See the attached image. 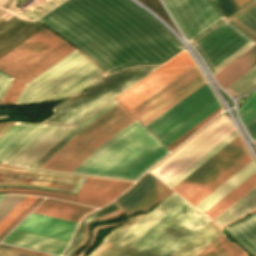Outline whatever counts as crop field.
I'll use <instances>...</instances> for the list:
<instances>
[{
    "label": "crop field",
    "mask_w": 256,
    "mask_h": 256,
    "mask_svg": "<svg viewBox=\"0 0 256 256\" xmlns=\"http://www.w3.org/2000/svg\"><path fill=\"white\" fill-rule=\"evenodd\" d=\"M38 22L82 50L107 74L162 63L183 49L160 23L129 0H67Z\"/></svg>",
    "instance_id": "crop-field-1"
},
{
    "label": "crop field",
    "mask_w": 256,
    "mask_h": 256,
    "mask_svg": "<svg viewBox=\"0 0 256 256\" xmlns=\"http://www.w3.org/2000/svg\"><path fill=\"white\" fill-rule=\"evenodd\" d=\"M168 153L136 120L103 143L73 173L135 181Z\"/></svg>",
    "instance_id": "crop-field-2"
},
{
    "label": "crop field",
    "mask_w": 256,
    "mask_h": 256,
    "mask_svg": "<svg viewBox=\"0 0 256 256\" xmlns=\"http://www.w3.org/2000/svg\"><path fill=\"white\" fill-rule=\"evenodd\" d=\"M94 67L75 50L27 83L14 104H34L49 100ZM103 76L105 74L96 67L52 99L77 94Z\"/></svg>",
    "instance_id": "crop-field-3"
},
{
    "label": "crop field",
    "mask_w": 256,
    "mask_h": 256,
    "mask_svg": "<svg viewBox=\"0 0 256 256\" xmlns=\"http://www.w3.org/2000/svg\"><path fill=\"white\" fill-rule=\"evenodd\" d=\"M136 120L120 103L80 130L39 168L70 173L103 142Z\"/></svg>",
    "instance_id": "crop-field-4"
},
{
    "label": "crop field",
    "mask_w": 256,
    "mask_h": 256,
    "mask_svg": "<svg viewBox=\"0 0 256 256\" xmlns=\"http://www.w3.org/2000/svg\"><path fill=\"white\" fill-rule=\"evenodd\" d=\"M158 67L139 66L115 73L86 92L53 107V112L61 109L42 123L75 125Z\"/></svg>",
    "instance_id": "crop-field-5"
},
{
    "label": "crop field",
    "mask_w": 256,
    "mask_h": 256,
    "mask_svg": "<svg viewBox=\"0 0 256 256\" xmlns=\"http://www.w3.org/2000/svg\"><path fill=\"white\" fill-rule=\"evenodd\" d=\"M251 160L238 136L172 189L195 206Z\"/></svg>",
    "instance_id": "crop-field-6"
},
{
    "label": "crop field",
    "mask_w": 256,
    "mask_h": 256,
    "mask_svg": "<svg viewBox=\"0 0 256 256\" xmlns=\"http://www.w3.org/2000/svg\"><path fill=\"white\" fill-rule=\"evenodd\" d=\"M234 130L229 120L217 117L150 172L167 184Z\"/></svg>",
    "instance_id": "crop-field-7"
},
{
    "label": "crop field",
    "mask_w": 256,
    "mask_h": 256,
    "mask_svg": "<svg viewBox=\"0 0 256 256\" xmlns=\"http://www.w3.org/2000/svg\"><path fill=\"white\" fill-rule=\"evenodd\" d=\"M254 43L236 25L226 20L193 45L214 76Z\"/></svg>",
    "instance_id": "crop-field-8"
},
{
    "label": "crop field",
    "mask_w": 256,
    "mask_h": 256,
    "mask_svg": "<svg viewBox=\"0 0 256 256\" xmlns=\"http://www.w3.org/2000/svg\"><path fill=\"white\" fill-rule=\"evenodd\" d=\"M204 83L195 65L129 112L145 126Z\"/></svg>",
    "instance_id": "crop-field-9"
},
{
    "label": "crop field",
    "mask_w": 256,
    "mask_h": 256,
    "mask_svg": "<svg viewBox=\"0 0 256 256\" xmlns=\"http://www.w3.org/2000/svg\"><path fill=\"white\" fill-rule=\"evenodd\" d=\"M85 177L0 164V186H24L77 194Z\"/></svg>",
    "instance_id": "crop-field-10"
},
{
    "label": "crop field",
    "mask_w": 256,
    "mask_h": 256,
    "mask_svg": "<svg viewBox=\"0 0 256 256\" xmlns=\"http://www.w3.org/2000/svg\"><path fill=\"white\" fill-rule=\"evenodd\" d=\"M190 42L223 18L210 0H162Z\"/></svg>",
    "instance_id": "crop-field-11"
},
{
    "label": "crop field",
    "mask_w": 256,
    "mask_h": 256,
    "mask_svg": "<svg viewBox=\"0 0 256 256\" xmlns=\"http://www.w3.org/2000/svg\"><path fill=\"white\" fill-rule=\"evenodd\" d=\"M193 65H195L194 62L186 52L182 51L167 64L116 99L129 111Z\"/></svg>",
    "instance_id": "crop-field-12"
},
{
    "label": "crop field",
    "mask_w": 256,
    "mask_h": 256,
    "mask_svg": "<svg viewBox=\"0 0 256 256\" xmlns=\"http://www.w3.org/2000/svg\"><path fill=\"white\" fill-rule=\"evenodd\" d=\"M61 44V40L43 29L0 58V69L16 76Z\"/></svg>",
    "instance_id": "crop-field-13"
},
{
    "label": "crop field",
    "mask_w": 256,
    "mask_h": 256,
    "mask_svg": "<svg viewBox=\"0 0 256 256\" xmlns=\"http://www.w3.org/2000/svg\"><path fill=\"white\" fill-rule=\"evenodd\" d=\"M197 212L183 200L121 256H148Z\"/></svg>",
    "instance_id": "crop-field-14"
},
{
    "label": "crop field",
    "mask_w": 256,
    "mask_h": 256,
    "mask_svg": "<svg viewBox=\"0 0 256 256\" xmlns=\"http://www.w3.org/2000/svg\"><path fill=\"white\" fill-rule=\"evenodd\" d=\"M213 95L206 84L145 127L159 139L216 100Z\"/></svg>",
    "instance_id": "crop-field-15"
},
{
    "label": "crop field",
    "mask_w": 256,
    "mask_h": 256,
    "mask_svg": "<svg viewBox=\"0 0 256 256\" xmlns=\"http://www.w3.org/2000/svg\"><path fill=\"white\" fill-rule=\"evenodd\" d=\"M182 200L183 199L174 192L169 194L155 209L140 219L100 256H119L122 254L128 247H130Z\"/></svg>",
    "instance_id": "crop-field-16"
},
{
    "label": "crop field",
    "mask_w": 256,
    "mask_h": 256,
    "mask_svg": "<svg viewBox=\"0 0 256 256\" xmlns=\"http://www.w3.org/2000/svg\"><path fill=\"white\" fill-rule=\"evenodd\" d=\"M132 183L87 176L75 201L100 207L112 201Z\"/></svg>",
    "instance_id": "crop-field-17"
},
{
    "label": "crop field",
    "mask_w": 256,
    "mask_h": 256,
    "mask_svg": "<svg viewBox=\"0 0 256 256\" xmlns=\"http://www.w3.org/2000/svg\"><path fill=\"white\" fill-rule=\"evenodd\" d=\"M71 128L47 125L6 163L29 167Z\"/></svg>",
    "instance_id": "crop-field-18"
},
{
    "label": "crop field",
    "mask_w": 256,
    "mask_h": 256,
    "mask_svg": "<svg viewBox=\"0 0 256 256\" xmlns=\"http://www.w3.org/2000/svg\"><path fill=\"white\" fill-rule=\"evenodd\" d=\"M76 225V222L31 213L15 229L69 242Z\"/></svg>",
    "instance_id": "crop-field-19"
},
{
    "label": "crop field",
    "mask_w": 256,
    "mask_h": 256,
    "mask_svg": "<svg viewBox=\"0 0 256 256\" xmlns=\"http://www.w3.org/2000/svg\"><path fill=\"white\" fill-rule=\"evenodd\" d=\"M73 50L75 49L64 44L49 54L47 57L39 61L37 64L29 68L27 71L19 75L17 78H15L6 94L2 98L0 105L13 104L27 82L45 71L47 68L55 64L57 61L68 55Z\"/></svg>",
    "instance_id": "crop-field-20"
},
{
    "label": "crop field",
    "mask_w": 256,
    "mask_h": 256,
    "mask_svg": "<svg viewBox=\"0 0 256 256\" xmlns=\"http://www.w3.org/2000/svg\"><path fill=\"white\" fill-rule=\"evenodd\" d=\"M45 126L16 122L0 137V162L5 163Z\"/></svg>",
    "instance_id": "crop-field-21"
},
{
    "label": "crop field",
    "mask_w": 256,
    "mask_h": 256,
    "mask_svg": "<svg viewBox=\"0 0 256 256\" xmlns=\"http://www.w3.org/2000/svg\"><path fill=\"white\" fill-rule=\"evenodd\" d=\"M209 221L198 212L149 256H171Z\"/></svg>",
    "instance_id": "crop-field-22"
},
{
    "label": "crop field",
    "mask_w": 256,
    "mask_h": 256,
    "mask_svg": "<svg viewBox=\"0 0 256 256\" xmlns=\"http://www.w3.org/2000/svg\"><path fill=\"white\" fill-rule=\"evenodd\" d=\"M1 242L60 255L67 242L13 230Z\"/></svg>",
    "instance_id": "crop-field-23"
},
{
    "label": "crop field",
    "mask_w": 256,
    "mask_h": 256,
    "mask_svg": "<svg viewBox=\"0 0 256 256\" xmlns=\"http://www.w3.org/2000/svg\"><path fill=\"white\" fill-rule=\"evenodd\" d=\"M92 210L94 208L70 202L45 199L33 212L79 222L83 215Z\"/></svg>",
    "instance_id": "crop-field-24"
},
{
    "label": "crop field",
    "mask_w": 256,
    "mask_h": 256,
    "mask_svg": "<svg viewBox=\"0 0 256 256\" xmlns=\"http://www.w3.org/2000/svg\"><path fill=\"white\" fill-rule=\"evenodd\" d=\"M225 229L252 256H256V210Z\"/></svg>",
    "instance_id": "crop-field-25"
},
{
    "label": "crop field",
    "mask_w": 256,
    "mask_h": 256,
    "mask_svg": "<svg viewBox=\"0 0 256 256\" xmlns=\"http://www.w3.org/2000/svg\"><path fill=\"white\" fill-rule=\"evenodd\" d=\"M256 64V43L214 77L225 89Z\"/></svg>",
    "instance_id": "crop-field-26"
},
{
    "label": "crop field",
    "mask_w": 256,
    "mask_h": 256,
    "mask_svg": "<svg viewBox=\"0 0 256 256\" xmlns=\"http://www.w3.org/2000/svg\"><path fill=\"white\" fill-rule=\"evenodd\" d=\"M255 171L256 165L252 160L195 207L204 213Z\"/></svg>",
    "instance_id": "crop-field-27"
},
{
    "label": "crop field",
    "mask_w": 256,
    "mask_h": 256,
    "mask_svg": "<svg viewBox=\"0 0 256 256\" xmlns=\"http://www.w3.org/2000/svg\"><path fill=\"white\" fill-rule=\"evenodd\" d=\"M219 232L220 228L210 221L172 256H197L219 236Z\"/></svg>",
    "instance_id": "crop-field-28"
},
{
    "label": "crop field",
    "mask_w": 256,
    "mask_h": 256,
    "mask_svg": "<svg viewBox=\"0 0 256 256\" xmlns=\"http://www.w3.org/2000/svg\"><path fill=\"white\" fill-rule=\"evenodd\" d=\"M255 186L256 173H254L251 177H249L246 181H244L241 185H239L236 189L230 192L227 196H225L222 200H220L204 214L213 220Z\"/></svg>",
    "instance_id": "crop-field-29"
},
{
    "label": "crop field",
    "mask_w": 256,
    "mask_h": 256,
    "mask_svg": "<svg viewBox=\"0 0 256 256\" xmlns=\"http://www.w3.org/2000/svg\"><path fill=\"white\" fill-rule=\"evenodd\" d=\"M159 182L160 181H158L156 178H154L152 175L148 173L129 192L123 195L116 202L126 212Z\"/></svg>",
    "instance_id": "crop-field-30"
},
{
    "label": "crop field",
    "mask_w": 256,
    "mask_h": 256,
    "mask_svg": "<svg viewBox=\"0 0 256 256\" xmlns=\"http://www.w3.org/2000/svg\"><path fill=\"white\" fill-rule=\"evenodd\" d=\"M220 107L219 103L214 101L209 106L195 114L193 117L182 123L180 126L166 134L164 137L159 139L165 146L171 143L173 140L181 136L183 133L191 129L193 126L204 120L206 117L214 113Z\"/></svg>",
    "instance_id": "crop-field-31"
},
{
    "label": "crop field",
    "mask_w": 256,
    "mask_h": 256,
    "mask_svg": "<svg viewBox=\"0 0 256 256\" xmlns=\"http://www.w3.org/2000/svg\"><path fill=\"white\" fill-rule=\"evenodd\" d=\"M256 207V187L220 215L216 221L221 226L238 218L244 213Z\"/></svg>",
    "instance_id": "crop-field-32"
},
{
    "label": "crop field",
    "mask_w": 256,
    "mask_h": 256,
    "mask_svg": "<svg viewBox=\"0 0 256 256\" xmlns=\"http://www.w3.org/2000/svg\"><path fill=\"white\" fill-rule=\"evenodd\" d=\"M116 100H112L109 104L92 114L90 117L85 119L83 122L78 124L76 127H74L68 134H66L55 146H53L45 155H43L38 161H36L32 167L38 168L42 163H44L52 154H54L63 144H65L73 135H75L80 129H82L84 126L92 122L94 119L102 115L104 112L112 108L114 105H116ZM43 165V164H42Z\"/></svg>",
    "instance_id": "crop-field-33"
},
{
    "label": "crop field",
    "mask_w": 256,
    "mask_h": 256,
    "mask_svg": "<svg viewBox=\"0 0 256 256\" xmlns=\"http://www.w3.org/2000/svg\"><path fill=\"white\" fill-rule=\"evenodd\" d=\"M171 192L164 184L161 182L154 187L147 195H145L138 203H136L130 210L126 213L128 215L135 214L137 212H144L154 206L156 203L161 201L165 196Z\"/></svg>",
    "instance_id": "crop-field-34"
},
{
    "label": "crop field",
    "mask_w": 256,
    "mask_h": 256,
    "mask_svg": "<svg viewBox=\"0 0 256 256\" xmlns=\"http://www.w3.org/2000/svg\"><path fill=\"white\" fill-rule=\"evenodd\" d=\"M229 20L236 23L250 36L256 37V0Z\"/></svg>",
    "instance_id": "crop-field-35"
},
{
    "label": "crop field",
    "mask_w": 256,
    "mask_h": 256,
    "mask_svg": "<svg viewBox=\"0 0 256 256\" xmlns=\"http://www.w3.org/2000/svg\"><path fill=\"white\" fill-rule=\"evenodd\" d=\"M238 136L236 130L232 132L229 136H227L224 140H222L219 144H217L214 148H212L209 152H207L204 156L198 159L195 163H193L190 167H188L185 171H183L180 175H178L175 179H173L167 185L171 188L175 186L178 182L184 179L187 175H189L192 171H194L197 167H199L202 163L208 160L211 156H213L217 151H219L222 147H224L227 143H229L233 138Z\"/></svg>",
    "instance_id": "crop-field-36"
},
{
    "label": "crop field",
    "mask_w": 256,
    "mask_h": 256,
    "mask_svg": "<svg viewBox=\"0 0 256 256\" xmlns=\"http://www.w3.org/2000/svg\"><path fill=\"white\" fill-rule=\"evenodd\" d=\"M144 215L145 214L134 217L130 219L128 222L121 225L116 230H114L88 256H99L105 249H107L114 241H116L123 233H125L131 226H133Z\"/></svg>",
    "instance_id": "crop-field-37"
},
{
    "label": "crop field",
    "mask_w": 256,
    "mask_h": 256,
    "mask_svg": "<svg viewBox=\"0 0 256 256\" xmlns=\"http://www.w3.org/2000/svg\"><path fill=\"white\" fill-rule=\"evenodd\" d=\"M239 248L223 235L200 256H230Z\"/></svg>",
    "instance_id": "crop-field-38"
},
{
    "label": "crop field",
    "mask_w": 256,
    "mask_h": 256,
    "mask_svg": "<svg viewBox=\"0 0 256 256\" xmlns=\"http://www.w3.org/2000/svg\"><path fill=\"white\" fill-rule=\"evenodd\" d=\"M119 209V207L117 206V204L114 202L90 215H88L82 222L77 234H76V237L72 243V245L70 246V248L66 251L65 255L64 256H68V254L78 246V244L80 243L81 239H82V236H83V233H84V230H85V224L93 219H96L100 216H103L105 214H108L112 211H115Z\"/></svg>",
    "instance_id": "crop-field-39"
},
{
    "label": "crop field",
    "mask_w": 256,
    "mask_h": 256,
    "mask_svg": "<svg viewBox=\"0 0 256 256\" xmlns=\"http://www.w3.org/2000/svg\"><path fill=\"white\" fill-rule=\"evenodd\" d=\"M256 84V66L248 71L245 75L239 78L236 82L230 85L227 90L228 92L239 95L245 93Z\"/></svg>",
    "instance_id": "crop-field-40"
},
{
    "label": "crop field",
    "mask_w": 256,
    "mask_h": 256,
    "mask_svg": "<svg viewBox=\"0 0 256 256\" xmlns=\"http://www.w3.org/2000/svg\"><path fill=\"white\" fill-rule=\"evenodd\" d=\"M238 113L244 128L256 119V89L250 93L244 105L238 108Z\"/></svg>",
    "instance_id": "crop-field-41"
},
{
    "label": "crop field",
    "mask_w": 256,
    "mask_h": 256,
    "mask_svg": "<svg viewBox=\"0 0 256 256\" xmlns=\"http://www.w3.org/2000/svg\"><path fill=\"white\" fill-rule=\"evenodd\" d=\"M37 197L26 196L9 214L0 221V233L20 215Z\"/></svg>",
    "instance_id": "crop-field-42"
},
{
    "label": "crop field",
    "mask_w": 256,
    "mask_h": 256,
    "mask_svg": "<svg viewBox=\"0 0 256 256\" xmlns=\"http://www.w3.org/2000/svg\"><path fill=\"white\" fill-rule=\"evenodd\" d=\"M0 256H50V255L0 244Z\"/></svg>",
    "instance_id": "crop-field-43"
},
{
    "label": "crop field",
    "mask_w": 256,
    "mask_h": 256,
    "mask_svg": "<svg viewBox=\"0 0 256 256\" xmlns=\"http://www.w3.org/2000/svg\"><path fill=\"white\" fill-rule=\"evenodd\" d=\"M0 192H16V193H25V194H34V195H41V196H49V197H56L65 200H70L74 198V195L69 194H60V193H52L40 190H29V189H15V188H0Z\"/></svg>",
    "instance_id": "crop-field-44"
},
{
    "label": "crop field",
    "mask_w": 256,
    "mask_h": 256,
    "mask_svg": "<svg viewBox=\"0 0 256 256\" xmlns=\"http://www.w3.org/2000/svg\"><path fill=\"white\" fill-rule=\"evenodd\" d=\"M25 196L6 195L0 201V220L9 213Z\"/></svg>",
    "instance_id": "crop-field-45"
},
{
    "label": "crop field",
    "mask_w": 256,
    "mask_h": 256,
    "mask_svg": "<svg viewBox=\"0 0 256 256\" xmlns=\"http://www.w3.org/2000/svg\"><path fill=\"white\" fill-rule=\"evenodd\" d=\"M221 111V109H219L218 111H216L214 114H212L211 116H209L208 118H206L204 121H202L201 123H199L198 125H196L194 128H192L191 130H189L188 132H186L185 134H183L181 137H179L178 139H176L175 141H173L171 144H169L168 146H166L167 148H169L170 150H172L173 148H175L177 145H179L181 142H183L185 139H187L190 135H192L194 132H196L199 128H201L204 124H206L209 120H211L216 114H218Z\"/></svg>",
    "instance_id": "crop-field-46"
},
{
    "label": "crop field",
    "mask_w": 256,
    "mask_h": 256,
    "mask_svg": "<svg viewBox=\"0 0 256 256\" xmlns=\"http://www.w3.org/2000/svg\"><path fill=\"white\" fill-rule=\"evenodd\" d=\"M44 198L38 197L20 216H18L1 234L0 240L5 237L30 211H32Z\"/></svg>",
    "instance_id": "crop-field-47"
},
{
    "label": "crop field",
    "mask_w": 256,
    "mask_h": 256,
    "mask_svg": "<svg viewBox=\"0 0 256 256\" xmlns=\"http://www.w3.org/2000/svg\"><path fill=\"white\" fill-rule=\"evenodd\" d=\"M215 3L226 17L238 10L233 0H215Z\"/></svg>",
    "instance_id": "crop-field-48"
},
{
    "label": "crop field",
    "mask_w": 256,
    "mask_h": 256,
    "mask_svg": "<svg viewBox=\"0 0 256 256\" xmlns=\"http://www.w3.org/2000/svg\"><path fill=\"white\" fill-rule=\"evenodd\" d=\"M14 78L0 72V100L5 94Z\"/></svg>",
    "instance_id": "crop-field-49"
},
{
    "label": "crop field",
    "mask_w": 256,
    "mask_h": 256,
    "mask_svg": "<svg viewBox=\"0 0 256 256\" xmlns=\"http://www.w3.org/2000/svg\"><path fill=\"white\" fill-rule=\"evenodd\" d=\"M253 140L256 138V121L250 124L248 127L245 128ZM251 138V139H252Z\"/></svg>",
    "instance_id": "crop-field-50"
},
{
    "label": "crop field",
    "mask_w": 256,
    "mask_h": 256,
    "mask_svg": "<svg viewBox=\"0 0 256 256\" xmlns=\"http://www.w3.org/2000/svg\"><path fill=\"white\" fill-rule=\"evenodd\" d=\"M238 9L247 4L251 0H234Z\"/></svg>",
    "instance_id": "crop-field-51"
},
{
    "label": "crop field",
    "mask_w": 256,
    "mask_h": 256,
    "mask_svg": "<svg viewBox=\"0 0 256 256\" xmlns=\"http://www.w3.org/2000/svg\"><path fill=\"white\" fill-rule=\"evenodd\" d=\"M243 251H241L240 249L238 251H236L232 256H238L240 253H242Z\"/></svg>",
    "instance_id": "crop-field-52"
},
{
    "label": "crop field",
    "mask_w": 256,
    "mask_h": 256,
    "mask_svg": "<svg viewBox=\"0 0 256 256\" xmlns=\"http://www.w3.org/2000/svg\"><path fill=\"white\" fill-rule=\"evenodd\" d=\"M239 256H247L244 252L242 254H240Z\"/></svg>",
    "instance_id": "crop-field-53"
},
{
    "label": "crop field",
    "mask_w": 256,
    "mask_h": 256,
    "mask_svg": "<svg viewBox=\"0 0 256 256\" xmlns=\"http://www.w3.org/2000/svg\"><path fill=\"white\" fill-rule=\"evenodd\" d=\"M5 195H0V200L4 197Z\"/></svg>",
    "instance_id": "crop-field-54"
},
{
    "label": "crop field",
    "mask_w": 256,
    "mask_h": 256,
    "mask_svg": "<svg viewBox=\"0 0 256 256\" xmlns=\"http://www.w3.org/2000/svg\"><path fill=\"white\" fill-rule=\"evenodd\" d=\"M254 141H255V143H256V139H255Z\"/></svg>",
    "instance_id": "crop-field-55"
},
{
    "label": "crop field",
    "mask_w": 256,
    "mask_h": 256,
    "mask_svg": "<svg viewBox=\"0 0 256 256\" xmlns=\"http://www.w3.org/2000/svg\"><path fill=\"white\" fill-rule=\"evenodd\" d=\"M51 256H54V255H51Z\"/></svg>",
    "instance_id": "crop-field-56"
},
{
    "label": "crop field",
    "mask_w": 256,
    "mask_h": 256,
    "mask_svg": "<svg viewBox=\"0 0 256 256\" xmlns=\"http://www.w3.org/2000/svg\"><path fill=\"white\" fill-rule=\"evenodd\" d=\"M213 1V0H212Z\"/></svg>",
    "instance_id": "crop-field-57"
}]
</instances>
